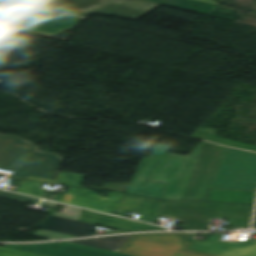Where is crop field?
<instances>
[{
	"instance_id": "obj_27",
	"label": "crop field",
	"mask_w": 256,
	"mask_h": 256,
	"mask_svg": "<svg viewBox=\"0 0 256 256\" xmlns=\"http://www.w3.org/2000/svg\"><path fill=\"white\" fill-rule=\"evenodd\" d=\"M27 179H34L42 182H49L51 181L50 179H44V178H36V177H28Z\"/></svg>"
},
{
	"instance_id": "obj_12",
	"label": "crop field",
	"mask_w": 256,
	"mask_h": 256,
	"mask_svg": "<svg viewBox=\"0 0 256 256\" xmlns=\"http://www.w3.org/2000/svg\"><path fill=\"white\" fill-rule=\"evenodd\" d=\"M161 202L159 200L124 195L114 214L140 213L139 220L156 224Z\"/></svg>"
},
{
	"instance_id": "obj_31",
	"label": "crop field",
	"mask_w": 256,
	"mask_h": 256,
	"mask_svg": "<svg viewBox=\"0 0 256 256\" xmlns=\"http://www.w3.org/2000/svg\"><path fill=\"white\" fill-rule=\"evenodd\" d=\"M4 82H5V81H1V80H0V84H2V83H4Z\"/></svg>"
},
{
	"instance_id": "obj_19",
	"label": "crop field",
	"mask_w": 256,
	"mask_h": 256,
	"mask_svg": "<svg viewBox=\"0 0 256 256\" xmlns=\"http://www.w3.org/2000/svg\"><path fill=\"white\" fill-rule=\"evenodd\" d=\"M41 183L24 181L16 192L42 197L44 190L40 189Z\"/></svg>"
},
{
	"instance_id": "obj_6",
	"label": "crop field",
	"mask_w": 256,
	"mask_h": 256,
	"mask_svg": "<svg viewBox=\"0 0 256 256\" xmlns=\"http://www.w3.org/2000/svg\"><path fill=\"white\" fill-rule=\"evenodd\" d=\"M63 13L23 5L7 0H0V24L15 27L21 30L40 33L56 24L63 18Z\"/></svg>"
},
{
	"instance_id": "obj_22",
	"label": "crop field",
	"mask_w": 256,
	"mask_h": 256,
	"mask_svg": "<svg viewBox=\"0 0 256 256\" xmlns=\"http://www.w3.org/2000/svg\"><path fill=\"white\" fill-rule=\"evenodd\" d=\"M0 256H44V255L0 247Z\"/></svg>"
},
{
	"instance_id": "obj_14",
	"label": "crop field",
	"mask_w": 256,
	"mask_h": 256,
	"mask_svg": "<svg viewBox=\"0 0 256 256\" xmlns=\"http://www.w3.org/2000/svg\"><path fill=\"white\" fill-rule=\"evenodd\" d=\"M256 192L212 189L208 200L228 203L254 204Z\"/></svg>"
},
{
	"instance_id": "obj_25",
	"label": "crop field",
	"mask_w": 256,
	"mask_h": 256,
	"mask_svg": "<svg viewBox=\"0 0 256 256\" xmlns=\"http://www.w3.org/2000/svg\"><path fill=\"white\" fill-rule=\"evenodd\" d=\"M35 235H41L49 238H54V239H63V238H69V237H74V236H69L65 234H60V233H55L51 231H46L39 229L37 232L34 233Z\"/></svg>"
},
{
	"instance_id": "obj_11",
	"label": "crop field",
	"mask_w": 256,
	"mask_h": 256,
	"mask_svg": "<svg viewBox=\"0 0 256 256\" xmlns=\"http://www.w3.org/2000/svg\"><path fill=\"white\" fill-rule=\"evenodd\" d=\"M81 221L89 222L92 224L106 226L126 232H137V231H153V230H168L163 227L139 223L107 214H102L94 211L82 209Z\"/></svg>"
},
{
	"instance_id": "obj_17",
	"label": "crop field",
	"mask_w": 256,
	"mask_h": 256,
	"mask_svg": "<svg viewBox=\"0 0 256 256\" xmlns=\"http://www.w3.org/2000/svg\"><path fill=\"white\" fill-rule=\"evenodd\" d=\"M193 137H197V138H201V139H205V140H209V141H213V142H218V143H222V144H227V145H231V146H235V147H239V148H243V149H247V150L256 152V146L215 136V130H213V129L200 127L196 131V133L193 135Z\"/></svg>"
},
{
	"instance_id": "obj_24",
	"label": "crop field",
	"mask_w": 256,
	"mask_h": 256,
	"mask_svg": "<svg viewBox=\"0 0 256 256\" xmlns=\"http://www.w3.org/2000/svg\"><path fill=\"white\" fill-rule=\"evenodd\" d=\"M22 2H27L35 5H40L44 7H48L50 9L54 8L56 5H58L63 0H18Z\"/></svg>"
},
{
	"instance_id": "obj_29",
	"label": "crop field",
	"mask_w": 256,
	"mask_h": 256,
	"mask_svg": "<svg viewBox=\"0 0 256 256\" xmlns=\"http://www.w3.org/2000/svg\"><path fill=\"white\" fill-rule=\"evenodd\" d=\"M201 1H205V2H209V3H213V4H218V2H216L215 0H201Z\"/></svg>"
},
{
	"instance_id": "obj_20",
	"label": "crop field",
	"mask_w": 256,
	"mask_h": 256,
	"mask_svg": "<svg viewBox=\"0 0 256 256\" xmlns=\"http://www.w3.org/2000/svg\"><path fill=\"white\" fill-rule=\"evenodd\" d=\"M83 178H84L83 175H77L72 173H61L57 181V184L82 186Z\"/></svg>"
},
{
	"instance_id": "obj_26",
	"label": "crop field",
	"mask_w": 256,
	"mask_h": 256,
	"mask_svg": "<svg viewBox=\"0 0 256 256\" xmlns=\"http://www.w3.org/2000/svg\"><path fill=\"white\" fill-rule=\"evenodd\" d=\"M128 185H129V183H104L102 188L112 189V190H119V191L125 192Z\"/></svg>"
},
{
	"instance_id": "obj_4",
	"label": "crop field",
	"mask_w": 256,
	"mask_h": 256,
	"mask_svg": "<svg viewBox=\"0 0 256 256\" xmlns=\"http://www.w3.org/2000/svg\"><path fill=\"white\" fill-rule=\"evenodd\" d=\"M196 234L159 233L137 234L122 247L120 253L135 256H211L186 250L187 238Z\"/></svg>"
},
{
	"instance_id": "obj_15",
	"label": "crop field",
	"mask_w": 256,
	"mask_h": 256,
	"mask_svg": "<svg viewBox=\"0 0 256 256\" xmlns=\"http://www.w3.org/2000/svg\"><path fill=\"white\" fill-rule=\"evenodd\" d=\"M131 236L132 235L67 242L118 252Z\"/></svg>"
},
{
	"instance_id": "obj_1",
	"label": "crop field",
	"mask_w": 256,
	"mask_h": 256,
	"mask_svg": "<svg viewBox=\"0 0 256 256\" xmlns=\"http://www.w3.org/2000/svg\"><path fill=\"white\" fill-rule=\"evenodd\" d=\"M148 179L169 183L163 199L206 200L211 188L256 191V153L202 142L186 156L166 153Z\"/></svg>"
},
{
	"instance_id": "obj_3",
	"label": "crop field",
	"mask_w": 256,
	"mask_h": 256,
	"mask_svg": "<svg viewBox=\"0 0 256 256\" xmlns=\"http://www.w3.org/2000/svg\"><path fill=\"white\" fill-rule=\"evenodd\" d=\"M60 162L58 155L37 152V147L17 136L0 134V169L15 171L14 177L53 179Z\"/></svg>"
},
{
	"instance_id": "obj_10",
	"label": "crop field",
	"mask_w": 256,
	"mask_h": 256,
	"mask_svg": "<svg viewBox=\"0 0 256 256\" xmlns=\"http://www.w3.org/2000/svg\"><path fill=\"white\" fill-rule=\"evenodd\" d=\"M221 233L211 234L205 242L194 240L189 250L216 256H256V239L247 242H218Z\"/></svg>"
},
{
	"instance_id": "obj_7",
	"label": "crop field",
	"mask_w": 256,
	"mask_h": 256,
	"mask_svg": "<svg viewBox=\"0 0 256 256\" xmlns=\"http://www.w3.org/2000/svg\"><path fill=\"white\" fill-rule=\"evenodd\" d=\"M170 146L155 144L149 158H143L129 187L127 193L144 195L154 198H163L168 184L146 180L161 158L168 152Z\"/></svg>"
},
{
	"instance_id": "obj_28",
	"label": "crop field",
	"mask_w": 256,
	"mask_h": 256,
	"mask_svg": "<svg viewBox=\"0 0 256 256\" xmlns=\"http://www.w3.org/2000/svg\"><path fill=\"white\" fill-rule=\"evenodd\" d=\"M42 204L48 205V206H56V203L48 202V201H43Z\"/></svg>"
},
{
	"instance_id": "obj_2",
	"label": "crop field",
	"mask_w": 256,
	"mask_h": 256,
	"mask_svg": "<svg viewBox=\"0 0 256 256\" xmlns=\"http://www.w3.org/2000/svg\"><path fill=\"white\" fill-rule=\"evenodd\" d=\"M254 205L163 201L160 214L185 223L184 230H208V217H232L231 229L249 228Z\"/></svg>"
},
{
	"instance_id": "obj_23",
	"label": "crop field",
	"mask_w": 256,
	"mask_h": 256,
	"mask_svg": "<svg viewBox=\"0 0 256 256\" xmlns=\"http://www.w3.org/2000/svg\"><path fill=\"white\" fill-rule=\"evenodd\" d=\"M0 197L19 200V201H23V202H27V201H32V202H36V203L40 202V199L23 196V195H18V194H13V193H8V192H4V191H0Z\"/></svg>"
},
{
	"instance_id": "obj_9",
	"label": "crop field",
	"mask_w": 256,
	"mask_h": 256,
	"mask_svg": "<svg viewBox=\"0 0 256 256\" xmlns=\"http://www.w3.org/2000/svg\"><path fill=\"white\" fill-rule=\"evenodd\" d=\"M49 256H130L64 242L4 245Z\"/></svg>"
},
{
	"instance_id": "obj_18",
	"label": "crop field",
	"mask_w": 256,
	"mask_h": 256,
	"mask_svg": "<svg viewBox=\"0 0 256 256\" xmlns=\"http://www.w3.org/2000/svg\"><path fill=\"white\" fill-rule=\"evenodd\" d=\"M82 19L83 18L69 15L67 18H65L61 22L57 23L56 25H54L51 28L42 32V34H46V35H50V36L57 35L66 29H70V28L76 26Z\"/></svg>"
},
{
	"instance_id": "obj_16",
	"label": "crop field",
	"mask_w": 256,
	"mask_h": 256,
	"mask_svg": "<svg viewBox=\"0 0 256 256\" xmlns=\"http://www.w3.org/2000/svg\"><path fill=\"white\" fill-rule=\"evenodd\" d=\"M160 4H166L182 9H187L199 13L206 14L208 11H210L214 6L213 4L200 2L196 0H148Z\"/></svg>"
},
{
	"instance_id": "obj_13",
	"label": "crop field",
	"mask_w": 256,
	"mask_h": 256,
	"mask_svg": "<svg viewBox=\"0 0 256 256\" xmlns=\"http://www.w3.org/2000/svg\"><path fill=\"white\" fill-rule=\"evenodd\" d=\"M95 226L68 218L48 215L37 227L78 237L95 235Z\"/></svg>"
},
{
	"instance_id": "obj_8",
	"label": "crop field",
	"mask_w": 256,
	"mask_h": 256,
	"mask_svg": "<svg viewBox=\"0 0 256 256\" xmlns=\"http://www.w3.org/2000/svg\"><path fill=\"white\" fill-rule=\"evenodd\" d=\"M89 189L69 187L63 195H56L55 200L113 214L123 194L111 192L109 198L91 193Z\"/></svg>"
},
{
	"instance_id": "obj_21",
	"label": "crop field",
	"mask_w": 256,
	"mask_h": 256,
	"mask_svg": "<svg viewBox=\"0 0 256 256\" xmlns=\"http://www.w3.org/2000/svg\"><path fill=\"white\" fill-rule=\"evenodd\" d=\"M80 208L72 207L66 205L61 213L55 212L54 215H59L63 217L73 218L79 220L80 217Z\"/></svg>"
},
{
	"instance_id": "obj_32",
	"label": "crop field",
	"mask_w": 256,
	"mask_h": 256,
	"mask_svg": "<svg viewBox=\"0 0 256 256\" xmlns=\"http://www.w3.org/2000/svg\"><path fill=\"white\" fill-rule=\"evenodd\" d=\"M44 8V7H43Z\"/></svg>"
},
{
	"instance_id": "obj_30",
	"label": "crop field",
	"mask_w": 256,
	"mask_h": 256,
	"mask_svg": "<svg viewBox=\"0 0 256 256\" xmlns=\"http://www.w3.org/2000/svg\"><path fill=\"white\" fill-rule=\"evenodd\" d=\"M253 228H256V219H255V223H254V225H253Z\"/></svg>"
},
{
	"instance_id": "obj_5",
	"label": "crop field",
	"mask_w": 256,
	"mask_h": 256,
	"mask_svg": "<svg viewBox=\"0 0 256 256\" xmlns=\"http://www.w3.org/2000/svg\"><path fill=\"white\" fill-rule=\"evenodd\" d=\"M119 2L116 4L115 2ZM161 5L143 0H64L54 10L81 16L90 13L104 15L117 14L126 18L138 19Z\"/></svg>"
}]
</instances>
